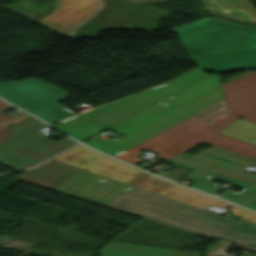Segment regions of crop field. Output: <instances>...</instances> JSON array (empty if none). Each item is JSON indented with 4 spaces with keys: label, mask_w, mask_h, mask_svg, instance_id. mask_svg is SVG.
Segmentation results:
<instances>
[{
    "label": "crop field",
    "mask_w": 256,
    "mask_h": 256,
    "mask_svg": "<svg viewBox=\"0 0 256 256\" xmlns=\"http://www.w3.org/2000/svg\"><path fill=\"white\" fill-rule=\"evenodd\" d=\"M53 191L114 208L164 225L236 242L256 252V225L228 218L125 185L81 169Z\"/></svg>",
    "instance_id": "1"
},
{
    "label": "crop field",
    "mask_w": 256,
    "mask_h": 256,
    "mask_svg": "<svg viewBox=\"0 0 256 256\" xmlns=\"http://www.w3.org/2000/svg\"><path fill=\"white\" fill-rule=\"evenodd\" d=\"M174 30L192 60L205 70L256 67V28L208 18Z\"/></svg>",
    "instance_id": "2"
},
{
    "label": "crop field",
    "mask_w": 256,
    "mask_h": 256,
    "mask_svg": "<svg viewBox=\"0 0 256 256\" xmlns=\"http://www.w3.org/2000/svg\"><path fill=\"white\" fill-rule=\"evenodd\" d=\"M222 100L216 74L110 128L126 137L106 147L85 144L114 156Z\"/></svg>",
    "instance_id": "3"
},
{
    "label": "crop field",
    "mask_w": 256,
    "mask_h": 256,
    "mask_svg": "<svg viewBox=\"0 0 256 256\" xmlns=\"http://www.w3.org/2000/svg\"><path fill=\"white\" fill-rule=\"evenodd\" d=\"M238 118L228 111L206 125L189 118L114 157L135 165L142 160L137 158L141 148L168 159L192 145L206 142L255 158L256 145L218 133Z\"/></svg>",
    "instance_id": "4"
},
{
    "label": "crop field",
    "mask_w": 256,
    "mask_h": 256,
    "mask_svg": "<svg viewBox=\"0 0 256 256\" xmlns=\"http://www.w3.org/2000/svg\"><path fill=\"white\" fill-rule=\"evenodd\" d=\"M208 77L198 68L165 85L58 122L55 127L82 142Z\"/></svg>",
    "instance_id": "5"
},
{
    "label": "crop field",
    "mask_w": 256,
    "mask_h": 256,
    "mask_svg": "<svg viewBox=\"0 0 256 256\" xmlns=\"http://www.w3.org/2000/svg\"><path fill=\"white\" fill-rule=\"evenodd\" d=\"M47 127L30 116L0 131V162L15 169L33 166L75 144L67 137L57 142L38 133Z\"/></svg>",
    "instance_id": "6"
},
{
    "label": "crop field",
    "mask_w": 256,
    "mask_h": 256,
    "mask_svg": "<svg viewBox=\"0 0 256 256\" xmlns=\"http://www.w3.org/2000/svg\"><path fill=\"white\" fill-rule=\"evenodd\" d=\"M0 96L48 123L74 115L55 101L70 97L59 87L34 78L0 82Z\"/></svg>",
    "instance_id": "7"
},
{
    "label": "crop field",
    "mask_w": 256,
    "mask_h": 256,
    "mask_svg": "<svg viewBox=\"0 0 256 256\" xmlns=\"http://www.w3.org/2000/svg\"><path fill=\"white\" fill-rule=\"evenodd\" d=\"M87 170L122 183L132 186L135 185L176 200L192 204L194 206L207 207L209 205H214L226 208L231 205L189 189L168 183L108 157L99 161Z\"/></svg>",
    "instance_id": "8"
},
{
    "label": "crop field",
    "mask_w": 256,
    "mask_h": 256,
    "mask_svg": "<svg viewBox=\"0 0 256 256\" xmlns=\"http://www.w3.org/2000/svg\"><path fill=\"white\" fill-rule=\"evenodd\" d=\"M164 163L191 170L183 178V180L194 183L192 185V188L201 190L212 195L221 191L223 188L219 187L214 182H212L210 178H208L209 176H211L244 188L238 193L226 190L218 197L230 200L244 206L250 204L256 199V184L206 168L209 164L212 163L211 161L191 157L180 153L168 159Z\"/></svg>",
    "instance_id": "9"
},
{
    "label": "crop field",
    "mask_w": 256,
    "mask_h": 256,
    "mask_svg": "<svg viewBox=\"0 0 256 256\" xmlns=\"http://www.w3.org/2000/svg\"><path fill=\"white\" fill-rule=\"evenodd\" d=\"M227 110L256 125V71L221 84Z\"/></svg>",
    "instance_id": "10"
},
{
    "label": "crop field",
    "mask_w": 256,
    "mask_h": 256,
    "mask_svg": "<svg viewBox=\"0 0 256 256\" xmlns=\"http://www.w3.org/2000/svg\"><path fill=\"white\" fill-rule=\"evenodd\" d=\"M78 170L80 168L52 159L15 179L52 190Z\"/></svg>",
    "instance_id": "11"
},
{
    "label": "crop field",
    "mask_w": 256,
    "mask_h": 256,
    "mask_svg": "<svg viewBox=\"0 0 256 256\" xmlns=\"http://www.w3.org/2000/svg\"><path fill=\"white\" fill-rule=\"evenodd\" d=\"M195 157L214 161L208 168L256 183V175L240 171L241 166L256 163V158L253 159L214 146L195 155Z\"/></svg>",
    "instance_id": "12"
},
{
    "label": "crop field",
    "mask_w": 256,
    "mask_h": 256,
    "mask_svg": "<svg viewBox=\"0 0 256 256\" xmlns=\"http://www.w3.org/2000/svg\"><path fill=\"white\" fill-rule=\"evenodd\" d=\"M214 13L256 22V10L246 0H202Z\"/></svg>",
    "instance_id": "13"
},
{
    "label": "crop field",
    "mask_w": 256,
    "mask_h": 256,
    "mask_svg": "<svg viewBox=\"0 0 256 256\" xmlns=\"http://www.w3.org/2000/svg\"><path fill=\"white\" fill-rule=\"evenodd\" d=\"M170 249L111 241L98 252L114 256H165ZM106 256V255H102Z\"/></svg>",
    "instance_id": "14"
},
{
    "label": "crop field",
    "mask_w": 256,
    "mask_h": 256,
    "mask_svg": "<svg viewBox=\"0 0 256 256\" xmlns=\"http://www.w3.org/2000/svg\"><path fill=\"white\" fill-rule=\"evenodd\" d=\"M104 157L106 156L79 145L54 159L86 169Z\"/></svg>",
    "instance_id": "15"
},
{
    "label": "crop field",
    "mask_w": 256,
    "mask_h": 256,
    "mask_svg": "<svg viewBox=\"0 0 256 256\" xmlns=\"http://www.w3.org/2000/svg\"><path fill=\"white\" fill-rule=\"evenodd\" d=\"M95 0H55L54 12L36 22L46 26L78 8H85Z\"/></svg>",
    "instance_id": "16"
},
{
    "label": "crop field",
    "mask_w": 256,
    "mask_h": 256,
    "mask_svg": "<svg viewBox=\"0 0 256 256\" xmlns=\"http://www.w3.org/2000/svg\"><path fill=\"white\" fill-rule=\"evenodd\" d=\"M99 6V0L95 1L89 7L84 10L78 9L57 22L46 26L54 31H57L63 35L68 33L75 25L89 17L92 12Z\"/></svg>",
    "instance_id": "17"
},
{
    "label": "crop field",
    "mask_w": 256,
    "mask_h": 256,
    "mask_svg": "<svg viewBox=\"0 0 256 256\" xmlns=\"http://www.w3.org/2000/svg\"><path fill=\"white\" fill-rule=\"evenodd\" d=\"M220 133L235 137L237 139L256 144V126L245 121L237 120Z\"/></svg>",
    "instance_id": "18"
},
{
    "label": "crop field",
    "mask_w": 256,
    "mask_h": 256,
    "mask_svg": "<svg viewBox=\"0 0 256 256\" xmlns=\"http://www.w3.org/2000/svg\"><path fill=\"white\" fill-rule=\"evenodd\" d=\"M9 107H11V105H9V104H7V103H5V102L0 100V112L5 110V109H7V108H9ZM28 116H30V115L22 113V114H20L18 116L10 118V117L0 113V129L5 128V127H7V126H9V125H11V124H13L15 122H18V121H20V120H22V119H24V118H26Z\"/></svg>",
    "instance_id": "19"
},
{
    "label": "crop field",
    "mask_w": 256,
    "mask_h": 256,
    "mask_svg": "<svg viewBox=\"0 0 256 256\" xmlns=\"http://www.w3.org/2000/svg\"><path fill=\"white\" fill-rule=\"evenodd\" d=\"M220 104H224V105L221 106V107H219V108H217V109H215V110H213V111H211V112H209V113H207L206 115L202 116L201 118L197 119L198 121L204 123L205 121H207L208 119L212 118L213 116H215L216 114L220 113L221 111H223V110H224V111H227V110H226V107H225V102H224V101H222V102H220V103H218V104H216V105H214V106H212V107H210V108H208V109H206V110H204V111H202V112H200V113H198V114L192 116L191 118L194 119L195 117H197V116H199V115H201V114H203V113H205V112H207V111H209V110H211V109H213V108L219 106ZM218 116H219V115H218ZM215 118H216V117H215ZM213 119H214V118H213ZM213 119H212V120H213ZM195 120H196V119H195ZM210 121H211V120H210ZM208 122H209V121H208ZM208 122H206V123H208ZM206 123H204V124H206Z\"/></svg>",
    "instance_id": "20"
},
{
    "label": "crop field",
    "mask_w": 256,
    "mask_h": 256,
    "mask_svg": "<svg viewBox=\"0 0 256 256\" xmlns=\"http://www.w3.org/2000/svg\"><path fill=\"white\" fill-rule=\"evenodd\" d=\"M230 211H233L234 213L232 214L235 217H240L243 218L249 222L255 223L256 224V214L250 211H247L243 208L240 207H232L230 209H228Z\"/></svg>",
    "instance_id": "21"
},
{
    "label": "crop field",
    "mask_w": 256,
    "mask_h": 256,
    "mask_svg": "<svg viewBox=\"0 0 256 256\" xmlns=\"http://www.w3.org/2000/svg\"><path fill=\"white\" fill-rule=\"evenodd\" d=\"M198 255L199 254H194V253H190V252L173 250L172 252H170L166 256H198Z\"/></svg>",
    "instance_id": "22"
},
{
    "label": "crop field",
    "mask_w": 256,
    "mask_h": 256,
    "mask_svg": "<svg viewBox=\"0 0 256 256\" xmlns=\"http://www.w3.org/2000/svg\"><path fill=\"white\" fill-rule=\"evenodd\" d=\"M247 207L255 209L256 210V201H254L253 203H251L250 205H248Z\"/></svg>",
    "instance_id": "23"
}]
</instances>
